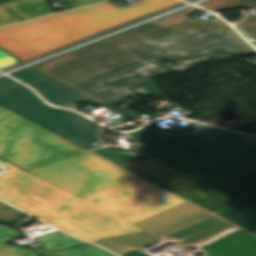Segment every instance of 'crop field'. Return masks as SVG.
Segmentation results:
<instances>
[{"mask_svg": "<svg viewBox=\"0 0 256 256\" xmlns=\"http://www.w3.org/2000/svg\"><path fill=\"white\" fill-rule=\"evenodd\" d=\"M256 47V44H253Z\"/></svg>", "mask_w": 256, "mask_h": 256, "instance_id": "120bbe31", "label": "crop field"}, {"mask_svg": "<svg viewBox=\"0 0 256 256\" xmlns=\"http://www.w3.org/2000/svg\"><path fill=\"white\" fill-rule=\"evenodd\" d=\"M0 104L86 149L103 146L97 130L106 127L76 112L46 105L27 87L0 94Z\"/></svg>", "mask_w": 256, "mask_h": 256, "instance_id": "dd49c442", "label": "crop field"}, {"mask_svg": "<svg viewBox=\"0 0 256 256\" xmlns=\"http://www.w3.org/2000/svg\"><path fill=\"white\" fill-rule=\"evenodd\" d=\"M88 151L0 105V158L31 169Z\"/></svg>", "mask_w": 256, "mask_h": 256, "instance_id": "412701ff", "label": "crop field"}, {"mask_svg": "<svg viewBox=\"0 0 256 256\" xmlns=\"http://www.w3.org/2000/svg\"><path fill=\"white\" fill-rule=\"evenodd\" d=\"M151 129L240 176L256 170V150L239 142L252 135L207 125L174 135L158 127Z\"/></svg>", "mask_w": 256, "mask_h": 256, "instance_id": "d8731c3e", "label": "crop field"}, {"mask_svg": "<svg viewBox=\"0 0 256 256\" xmlns=\"http://www.w3.org/2000/svg\"><path fill=\"white\" fill-rule=\"evenodd\" d=\"M1 30L36 53L69 37L44 18Z\"/></svg>", "mask_w": 256, "mask_h": 256, "instance_id": "28ad6ade", "label": "crop field"}, {"mask_svg": "<svg viewBox=\"0 0 256 256\" xmlns=\"http://www.w3.org/2000/svg\"><path fill=\"white\" fill-rule=\"evenodd\" d=\"M0 46L7 51L11 52L20 60L24 61L26 59L37 56L36 53L26 48L10 36L6 35L2 31H0Z\"/></svg>", "mask_w": 256, "mask_h": 256, "instance_id": "4a817a6b", "label": "crop field"}, {"mask_svg": "<svg viewBox=\"0 0 256 256\" xmlns=\"http://www.w3.org/2000/svg\"><path fill=\"white\" fill-rule=\"evenodd\" d=\"M201 250L207 256H256V237L238 230Z\"/></svg>", "mask_w": 256, "mask_h": 256, "instance_id": "d1516ede", "label": "crop field"}, {"mask_svg": "<svg viewBox=\"0 0 256 256\" xmlns=\"http://www.w3.org/2000/svg\"><path fill=\"white\" fill-rule=\"evenodd\" d=\"M216 214L256 234V196Z\"/></svg>", "mask_w": 256, "mask_h": 256, "instance_id": "d9b57169", "label": "crop field"}, {"mask_svg": "<svg viewBox=\"0 0 256 256\" xmlns=\"http://www.w3.org/2000/svg\"><path fill=\"white\" fill-rule=\"evenodd\" d=\"M35 239L45 245L48 251L63 250L70 246L86 244L59 231Z\"/></svg>", "mask_w": 256, "mask_h": 256, "instance_id": "733c2abd", "label": "crop field"}, {"mask_svg": "<svg viewBox=\"0 0 256 256\" xmlns=\"http://www.w3.org/2000/svg\"><path fill=\"white\" fill-rule=\"evenodd\" d=\"M183 1H186V0H183Z\"/></svg>", "mask_w": 256, "mask_h": 256, "instance_id": "d32e631a", "label": "crop field"}, {"mask_svg": "<svg viewBox=\"0 0 256 256\" xmlns=\"http://www.w3.org/2000/svg\"><path fill=\"white\" fill-rule=\"evenodd\" d=\"M243 1H246V0H210V1L204 2L202 4H199V6H202L204 8H207V9L217 13L221 10L229 8L233 5L241 3Z\"/></svg>", "mask_w": 256, "mask_h": 256, "instance_id": "a9b5d70f", "label": "crop field"}, {"mask_svg": "<svg viewBox=\"0 0 256 256\" xmlns=\"http://www.w3.org/2000/svg\"><path fill=\"white\" fill-rule=\"evenodd\" d=\"M48 0H11L0 4V26L52 13Z\"/></svg>", "mask_w": 256, "mask_h": 256, "instance_id": "22f410ed", "label": "crop field"}, {"mask_svg": "<svg viewBox=\"0 0 256 256\" xmlns=\"http://www.w3.org/2000/svg\"><path fill=\"white\" fill-rule=\"evenodd\" d=\"M0 234V256H38L30 249L22 248L18 245L8 246L4 241L10 240Z\"/></svg>", "mask_w": 256, "mask_h": 256, "instance_id": "92a150f3", "label": "crop field"}, {"mask_svg": "<svg viewBox=\"0 0 256 256\" xmlns=\"http://www.w3.org/2000/svg\"><path fill=\"white\" fill-rule=\"evenodd\" d=\"M42 256H113L93 245L77 246L65 251H58Z\"/></svg>", "mask_w": 256, "mask_h": 256, "instance_id": "bc2a9ffb", "label": "crop field"}, {"mask_svg": "<svg viewBox=\"0 0 256 256\" xmlns=\"http://www.w3.org/2000/svg\"><path fill=\"white\" fill-rule=\"evenodd\" d=\"M247 145H249L250 147L256 149V136L252 137V138H249V139H246L244 141H241Z\"/></svg>", "mask_w": 256, "mask_h": 256, "instance_id": "d3111659", "label": "crop field"}, {"mask_svg": "<svg viewBox=\"0 0 256 256\" xmlns=\"http://www.w3.org/2000/svg\"><path fill=\"white\" fill-rule=\"evenodd\" d=\"M197 11L205 10L193 6L30 67L128 118L139 116L115 106L136 93L162 94L152 79L174 70L161 61L256 53L218 17H186Z\"/></svg>", "mask_w": 256, "mask_h": 256, "instance_id": "8a807250", "label": "crop field"}, {"mask_svg": "<svg viewBox=\"0 0 256 256\" xmlns=\"http://www.w3.org/2000/svg\"><path fill=\"white\" fill-rule=\"evenodd\" d=\"M251 131H254V132H256V128L252 129Z\"/></svg>", "mask_w": 256, "mask_h": 256, "instance_id": "1d83c4d3", "label": "crop field"}, {"mask_svg": "<svg viewBox=\"0 0 256 256\" xmlns=\"http://www.w3.org/2000/svg\"><path fill=\"white\" fill-rule=\"evenodd\" d=\"M27 171L82 198L138 178L91 153Z\"/></svg>", "mask_w": 256, "mask_h": 256, "instance_id": "f4fd0767", "label": "crop field"}, {"mask_svg": "<svg viewBox=\"0 0 256 256\" xmlns=\"http://www.w3.org/2000/svg\"><path fill=\"white\" fill-rule=\"evenodd\" d=\"M18 64L16 59L0 49V70Z\"/></svg>", "mask_w": 256, "mask_h": 256, "instance_id": "730fd06b", "label": "crop field"}, {"mask_svg": "<svg viewBox=\"0 0 256 256\" xmlns=\"http://www.w3.org/2000/svg\"><path fill=\"white\" fill-rule=\"evenodd\" d=\"M178 0H141L125 8L110 3L46 17L71 37L38 53L43 54L149 13L179 3Z\"/></svg>", "mask_w": 256, "mask_h": 256, "instance_id": "e52e79f7", "label": "crop field"}, {"mask_svg": "<svg viewBox=\"0 0 256 256\" xmlns=\"http://www.w3.org/2000/svg\"><path fill=\"white\" fill-rule=\"evenodd\" d=\"M71 8L93 4L89 0H62Z\"/></svg>", "mask_w": 256, "mask_h": 256, "instance_id": "eef30255", "label": "crop field"}, {"mask_svg": "<svg viewBox=\"0 0 256 256\" xmlns=\"http://www.w3.org/2000/svg\"><path fill=\"white\" fill-rule=\"evenodd\" d=\"M24 216H26V214L0 201V220L13 222Z\"/></svg>", "mask_w": 256, "mask_h": 256, "instance_id": "00972430", "label": "crop field"}, {"mask_svg": "<svg viewBox=\"0 0 256 256\" xmlns=\"http://www.w3.org/2000/svg\"><path fill=\"white\" fill-rule=\"evenodd\" d=\"M0 233L4 234L3 236L8 237L10 239L21 235L19 231H11L7 229V226H2V225H0Z\"/></svg>", "mask_w": 256, "mask_h": 256, "instance_id": "ae1a2a85", "label": "crop field"}, {"mask_svg": "<svg viewBox=\"0 0 256 256\" xmlns=\"http://www.w3.org/2000/svg\"><path fill=\"white\" fill-rule=\"evenodd\" d=\"M119 165L214 213L256 195V186L253 184L225 195L154 158Z\"/></svg>", "mask_w": 256, "mask_h": 256, "instance_id": "5a996713", "label": "crop field"}, {"mask_svg": "<svg viewBox=\"0 0 256 256\" xmlns=\"http://www.w3.org/2000/svg\"><path fill=\"white\" fill-rule=\"evenodd\" d=\"M252 3L256 4V0L246 1L244 3L238 4L236 6L229 8V10L233 11L244 5L248 6ZM235 28L250 42H256V15L248 18L246 22L235 26Z\"/></svg>", "mask_w": 256, "mask_h": 256, "instance_id": "214f88e0", "label": "crop field"}, {"mask_svg": "<svg viewBox=\"0 0 256 256\" xmlns=\"http://www.w3.org/2000/svg\"><path fill=\"white\" fill-rule=\"evenodd\" d=\"M0 198L89 241L143 232L132 224L186 201L141 179L81 199L3 160Z\"/></svg>", "mask_w": 256, "mask_h": 256, "instance_id": "ac0d7876", "label": "crop field"}, {"mask_svg": "<svg viewBox=\"0 0 256 256\" xmlns=\"http://www.w3.org/2000/svg\"><path fill=\"white\" fill-rule=\"evenodd\" d=\"M24 87L7 76L0 78V93Z\"/></svg>", "mask_w": 256, "mask_h": 256, "instance_id": "4177f3b9", "label": "crop field"}, {"mask_svg": "<svg viewBox=\"0 0 256 256\" xmlns=\"http://www.w3.org/2000/svg\"><path fill=\"white\" fill-rule=\"evenodd\" d=\"M129 134L141 146L131 150L118 147L91 151L115 163L154 157L225 194L252 183L150 129Z\"/></svg>", "mask_w": 256, "mask_h": 256, "instance_id": "34b2d1b8", "label": "crop field"}, {"mask_svg": "<svg viewBox=\"0 0 256 256\" xmlns=\"http://www.w3.org/2000/svg\"><path fill=\"white\" fill-rule=\"evenodd\" d=\"M10 76L20 80L21 82H23L27 85H30L32 83H35L37 81L47 78L46 76L38 73L37 71H35L29 67H27L23 70H20L18 72H15V73L11 74Z\"/></svg>", "mask_w": 256, "mask_h": 256, "instance_id": "dafd665d", "label": "crop field"}, {"mask_svg": "<svg viewBox=\"0 0 256 256\" xmlns=\"http://www.w3.org/2000/svg\"><path fill=\"white\" fill-rule=\"evenodd\" d=\"M91 1L96 3V2H100V1H104V0H91Z\"/></svg>", "mask_w": 256, "mask_h": 256, "instance_id": "bd1437ed", "label": "crop field"}, {"mask_svg": "<svg viewBox=\"0 0 256 256\" xmlns=\"http://www.w3.org/2000/svg\"><path fill=\"white\" fill-rule=\"evenodd\" d=\"M30 86L34 88L47 102L55 106L78 103L89 99L49 78Z\"/></svg>", "mask_w": 256, "mask_h": 256, "instance_id": "5142ce71", "label": "crop field"}, {"mask_svg": "<svg viewBox=\"0 0 256 256\" xmlns=\"http://www.w3.org/2000/svg\"><path fill=\"white\" fill-rule=\"evenodd\" d=\"M243 177L248 179V180H250V181H252V182H254V183H256V171L252 172V173H250L248 175H245Z\"/></svg>", "mask_w": 256, "mask_h": 256, "instance_id": "750c4746", "label": "crop field"}, {"mask_svg": "<svg viewBox=\"0 0 256 256\" xmlns=\"http://www.w3.org/2000/svg\"><path fill=\"white\" fill-rule=\"evenodd\" d=\"M134 225L168 241L182 243L179 247L189 244L201 247L237 229L188 202Z\"/></svg>", "mask_w": 256, "mask_h": 256, "instance_id": "3316defc", "label": "crop field"}, {"mask_svg": "<svg viewBox=\"0 0 256 256\" xmlns=\"http://www.w3.org/2000/svg\"><path fill=\"white\" fill-rule=\"evenodd\" d=\"M154 242L158 244L166 243L159 238L144 232L135 235L101 240L100 244L122 256H149L142 252L140 246Z\"/></svg>", "mask_w": 256, "mask_h": 256, "instance_id": "cbeb9de0", "label": "crop field"}]
</instances>
